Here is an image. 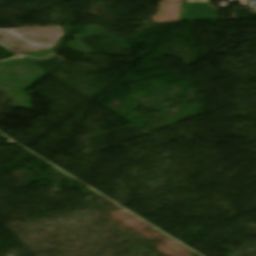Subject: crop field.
Masks as SVG:
<instances>
[{
	"mask_svg": "<svg viewBox=\"0 0 256 256\" xmlns=\"http://www.w3.org/2000/svg\"><path fill=\"white\" fill-rule=\"evenodd\" d=\"M210 5L209 0H188L181 10L180 21H203L217 19L216 9Z\"/></svg>",
	"mask_w": 256,
	"mask_h": 256,
	"instance_id": "8a807250",
	"label": "crop field"
}]
</instances>
